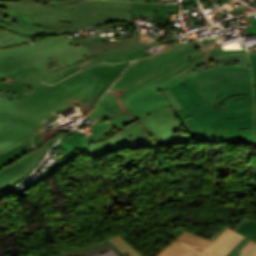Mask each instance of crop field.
Returning <instances> with one entry per match:
<instances>
[{
	"label": "crop field",
	"instance_id": "obj_1",
	"mask_svg": "<svg viewBox=\"0 0 256 256\" xmlns=\"http://www.w3.org/2000/svg\"><path fill=\"white\" fill-rule=\"evenodd\" d=\"M86 49L61 36L1 49L0 98L54 114L78 103L85 115L129 63L96 64L101 60L94 56L53 72L93 55ZM76 71L54 86L40 82L54 84Z\"/></svg>",
	"mask_w": 256,
	"mask_h": 256
},
{
	"label": "crop field",
	"instance_id": "obj_2",
	"mask_svg": "<svg viewBox=\"0 0 256 256\" xmlns=\"http://www.w3.org/2000/svg\"><path fill=\"white\" fill-rule=\"evenodd\" d=\"M204 56L193 41L185 46L180 42L169 50L138 60L126 71L109 91L123 111L98 120L107 128L89 138L97 142L84 151L90 159L128 146L130 149L152 148L173 142L190 141L188 136L174 135L185 129L169 107L140 120L119 101L152 83L162 81L191 64L189 61Z\"/></svg>",
	"mask_w": 256,
	"mask_h": 256
},
{
	"label": "crop field",
	"instance_id": "obj_3",
	"mask_svg": "<svg viewBox=\"0 0 256 256\" xmlns=\"http://www.w3.org/2000/svg\"><path fill=\"white\" fill-rule=\"evenodd\" d=\"M51 6L47 8L35 0H0V8L8 7L34 17V25L64 33L114 21H129L132 16L154 17L155 11L179 12L177 5L105 0L53 3Z\"/></svg>",
	"mask_w": 256,
	"mask_h": 256
},
{
	"label": "crop field",
	"instance_id": "obj_4",
	"mask_svg": "<svg viewBox=\"0 0 256 256\" xmlns=\"http://www.w3.org/2000/svg\"><path fill=\"white\" fill-rule=\"evenodd\" d=\"M41 125L4 115L0 119V191L24 179L62 133L48 142Z\"/></svg>",
	"mask_w": 256,
	"mask_h": 256
},
{
	"label": "crop field",
	"instance_id": "obj_5",
	"mask_svg": "<svg viewBox=\"0 0 256 256\" xmlns=\"http://www.w3.org/2000/svg\"><path fill=\"white\" fill-rule=\"evenodd\" d=\"M185 81L202 105L230 91L252 92L250 70L236 67L212 69Z\"/></svg>",
	"mask_w": 256,
	"mask_h": 256
},
{
	"label": "crop field",
	"instance_id": "obj_6",
	"mask_svg": "<svg viewBox=\"0 0 256 256\" xmlns=\"http://www.w3.org/2000/svg\"><path fill=\"white\" fill-rule=\"evenodd\" d=\"M195 43L206 56L190 61L191 65L175 74L183 80L211 68L223 66L250 69L246 50L222 51V48L218 46L220 44L216 41L203 46L200 45L199 41Z\"/></svg>",
	"mask_w": 256,
	"mask_h": 256
},
{
	"label": "crop field",
	"instance_id": "obj_7",
	"mask_svg": "<svg viewBox=\"0 0 256 256\" xmlns=\"http://www.w3.org/2000/svg\"><path fill=\"white\" fill-rule=\"evenodd\" d=\"M181 81L183 80L174 75L165 81L155 83L154 86L143 89L120 102L126 105L134 113L136 118L140 119L145 115H149L170 105L167 99L159 93V91L165 90Z\"/></svg>",
	"mask_w": 256,
	"mask_h": 256
},
{
	"label": "crop field",
	"instance_id": "obj_8",
	"mask_svg": "<svg viewBox=\"0 0 256 256\" xmlns=\"http://www.w3.org/2000/svg\"><path fill=\"white\" fill-rule=\"evenodd\" d=\"M118 40L87 46L99 58L107 62H121L129 60L126 54L144 50L166 43L168 38L157 40L148 44L138 42L139 33L117 37Z\"/></svg>",
	"mask_w": 256,
	"mask_h": 256
},
{
	"label": "crop field",
	"instance_id": "obj_9",
	"mask_svg": "<svg viewBox=\"0 0 256 256\" xmlns=\"http://www.w3.org/2000/svg\"><path fill=\"white\" fill-rule=\"evenodd\" d=\"M187 131L211 129H253V117L220 120L217 113L180 120Z\"/></svg>",
	"mask_w": 256,
	"mask_h": 256
},
{
	"label": "crop field",
	"instance_id": "obj_10",
	"mask_svg": "<svg viewBox=\"0 0 256 256\" xmlns=\"http://www.w3.org/2000/svg\"><path fill=\"white\" fill-rule=\"evenodd\" d=\"M192 143L254 144L253 130L188 132Z\"/></svg>",
	"mask_w": 256,
	"mask_h": 256
},
{
	"label": "crop field",
	"instance_id": "obj_11",
	"mask_svg": "<svg viewBox=\"0 0 256 256\" xmlns=\"http://www.w3.org/2000/svg\"><path fill=\"white\" fill-rule=\"evenodd\" d=\"M33 21L34 18L16 13L8 8L0 15V26L19 34L27 36L63 34L60 32L33 26Z\"/></svg>",
	"mask_w": 256,
	"mask_h": 256
},
{
	"label": "crop field",
	"instance_id": "obj_12",
	"mask_svg": "<svg viewBox=\"0 0 256 256\" xmlns=\"http://www.w3.org/2000/svg\"><path fill=\"white\" fill-rule=\"evenodd\" d=\"M4 114L22 120L36 122L49 129L44 123L54 114L37 110L28 106L0 99V117Z\"/></svg>",
	"mask_w": 256,
	"mask_h": 256
},
{
	"label": "crop field",
	"instance_id": "obj_13",
	"mask_svg": "<svg viewBox=\"0 0 256 256\" xmlns=\"http://www.w3.org/2000/svg\"><path fill=\"white\" fill-rule=\"evenodd\" d=\"M220 119L253 116V96H238L227 99L214 108Z\"/></svg>",
	"mask_w": 256,
	"mask_h": 256
},
{
	"label": "crop field",
	"instance_id": "obj_14",
	"mask_svg": "<svg viewBox=\"0 0 256 256\" xmlns=\"http://www.w3.org/2000/svg\"><path fill=\"white\" fill-rule=\"evenodd\" d=\"M58 146L66 151L56 158L58 165H62L84 150L86 146V136L75 130L72 134L57 143L52 150Z\"/></svg>",
	"mask_w": 256,
	"mask_h": 256
},
{
	"label": "crop field",
	"instance_id": "obj_15",
	"mask_svg": "<svg viewBox=\"0 0 256 256\" xmlns=\"http://www.w3.org/2000/svg\"><path fill=\"white\" fill-rule=\"evenodd\" d=\"M112 249L118 256H125L115 245L109 240L87 246L82 249H76L75 247L58 255V256H90L99 252Z\"/></svg>",
	"mask_w": 256,
	"mask_h": 256
},
{
	"label": "crop field",
	"instance_id": "obj_16",
	"mask_svg": "<svg viewBox=\"0 0 256 256\" xmlns=\"http://www.w3.org/2000/svg\"><path fill=\"white\" fill-rule=\"evenodd\" d=\"M170 90L174 94L178 102L180 103L183 110L201 106L200 102L193 95L189 87L186 85L185 81L170 88Z\"/></svg>",
	"mask_w": 256,
	"mask_h": 256
},
{
	"label": "crop field",
	"instance_id": "obj_17",
	"mask_svg": "<svg viewBox=\"0 0 256 256\" xmlns=\"http://www.w3.org/2000/svg\"><path fill=\"white\" fill-rule=\"evenodd\" d=\"M237 95H252V93H249V92L227 93V94H224L222 97L216 99L215 101H213L205 106H202L200 108L191 109L188 111L175 113V115L177 116L178 119H182V118L195 117V116L215 112V110L213 109L214 107H216L217 105H219L220 103L225 101L227 98L232 97V96H237Z\"/></svg>",
	"mask_w": 256,
	"mask_h": 256
},
{
	"label": "crop field",
	"instance_id": "obj_18",
	"mask_svg": "<svg viewBox=\"0 0 256 256\" xmlns=\"http://www.w3.org/2000/svg\"><path fill=\"white\" fill-rule=\"evenodd\" d=\"M176 240L192 247L193 249L201 252L203 249H205L212 241L207 240L205 238L199 237L197 235H194L188 231L183 233L179 238Z\"/></svg>",
	"mask_w": 256,
	"mask_h": 256
},
{
	"label": "crop field",
	"instance_id": "obj_19",
	"mask_svg": "<svg viewBox=\"0 0 256 256\" xmlns=\"http://www.w3.org/2000/svg\"><path fill=\"white\" fill-rule=\"evenodd\" d=\"M242 239V236L233 232L208 256H226Z\"/></svg>",
	"mask_w": 256,
	"mask_h": 256
},
{
	"label": "crop field",
	"instance_id": "obj_20",
	"mask_svg": "<svg viewBox=\"0 0 256 256\" xmlns=\"http://www.w3.org/2000/svg\"><path fill=\"white\" fill-rule=\"evenodd\" d=\"M27 42H32L29 37L16 35L0 29V48L10 47Z\"/></svg>",
	"mask_w": 256,
	"mask_h": 256
},
{
	"label": "crop field",
	"instance_id": "obj_21",
	"mask_svg": "<svg viewBox=\"0 0 256 256\" xmlns=\"http://www.w3.org/2000/svg\"><path fill=\"white\" fill-rule=\"evenodd\" d=\"M238 233L256 241V221L253 219L244 218L235 228Z\"/></svg>",
	"mask_w": 256,
	"mask_h": 256
},
{
	"label": "crop field",
	"instance_id": "obj_22",
	"mask_svg": "<svg viewBox=\"0 0 256 256\" xmlns=\"http://www.w3.org/2000/svg\"><path fill=\"white\" fill-rule=\"evenodd\" d=\"M232 232L233 231L224 226L221 230H219L217 233H215L212 237L209 238L213 242L204 251H202V253L206 255L211 253Z\"/></svg>",
	"mask_w": 256,
	"mask_h": 256
},
{
	"label": "crop field",
	"instance_id": "obj_23",
	"mask_svg": "<svg viewBox=\"0 0 256 256\" xmlns=\"http://www.w3.org/2000/svg\"><path fill=\"white\" fill-rule=\"evenodd\" d=\"M194 250L181 245L180 243L176 245L174 248L170 249L166 247L162 252H160L157 256H188Z\"/></svg>",
	"mask_w": 256,
	"mask_h": 256
},
{
	"label": "crop field",
	"instance_id": "obj_24",
	"mask_svg": "<svg viewBox=\"0 0 256 256\" xmlns=\"http://www.w3.org/2000/svg\"><path fill=\"white\" fill-rule=\"evenodd\" d=\"M125 254L128 256H142L138 253L132 245L122 236L111 239Z\"/></svg>",
	"mask_w": 256,
	"mask_h": 256
},
{
	"label": "crop field",
	"instance_id": "obj_25",
	"mask_svg": "<svg viewBox=\"0 0 256 256\" xmlns=\"http://www.w3.org/2000/svg\"><path fill=\"white\" fill-rule=\"evenodd\" d=\"M249 57L251 61L254 99H255V105H256V52H249ZM255 135H256V109H255Z\"/></svg>",
	"mask_w": 256,
	"mask_h": 256
},
{
	"label": "crop field",
	"instance_id": "obj_26",
	"mask_svg": "<svg viewBox=\"0 0 256 256\" xmlns=\"http://www.w3.org/2000/svg\"><path fill=\"white\" fill-rule=\"evenodd\" d=\"M241 252L239 256H256V243L250 241Z\"/></svg>",
	"mask_w": 256,
	"mask_h": 256
},
{
	"label": "crop field",
	"instance_id": "obj_27",
	"mask_svg": "<svg viewBox=\"0 0 256 256\" xmlns=\"http://www.w3.org/2000/svg\"><path fill=\"white\" fill-rule=\"evenodd\" d=\"M163 95L168 99L170 104L174 107V109L178 111H183L182 108L180 107L179 103L175 99V97L172 95V93L168 90L162 91Z\"/></svg>",
	"mask_w": 256,
	"mask_h": 256
},
{
	"label": "crop field",
	"instance_id": "obj_28",
	"mask_svg": "<svg viewBox=\"0 0 256 256\" xmlns=\"http://www.w3.org/2000/svg\"><path fill=\"white\" fill-rule=\"evenodd\" d=\"M249 242L247 239H243L227 256H238L241 249Z\"/></svg>",
	"mask_w": 256,
	"mask_h": 256
},
{
	"label": "crop field",
	"instance_id": "obj_29",
	"mask_svg": "<svg viewBox=\"0 0 256 256\" xmlns=\"http://www.w3.org/2000/svg\"><path fill=\"white\" fill-rule=\"evenodd\" d=\"M226 1H230V0H220L221 3H224L226 5H228L226 3ZM228 7H230L231 9L228 10L233 16H239V15H243L240 11L236 10L235 8L231 7L230 5H228Z\"/></svg>",
	"mask_w": 256,
	"mask_h": 256
},
{
	"label": "crop field",
	"instance_id": "obj_30",
	"mask_svg": "<svg viewBox=\"0 0 256 256\" xmlns=\"http://www.w3.org/2000/svg\"><path fill=\"white\" fill-rule=\"evenodd\" d=\"M184 4L192 3L193 6L198 5L196 0H183Z\"/></svg>",
	"mask_w": 256,
	"mask_h": 256
},
{
	"label": "crop field",
	"instance_id": "obj_31",
	"mask_svg": "<svg viewBox=\"0 0 256 256\" xmlns=\"http://www.w3.org/2000/svg\"><path fill=\"white\" fill-rule=\"evenodd\" d=\"M141 2H165L164 0H138Z\"/></svg>",
	"mask_w": 256,
	"mask_h": 256
},
{
	"label": "crop field",
	"instance_id": "obj_32",
	"mask_svg": "<svg viewBox=\"0 0 256 256\" xmlns=\"http://www.w3.org/2000/svg\"><path fill=\"white\" fill-rule=\"evenodd\" d=\"M42 2H53V1H70V0H38Z\"/></svg>",
	"mask_w": 256,
	"mask_h": 256
},
{
	"label": "crop field",
	"instance_id": "obj_33",
	"mask_svg": "<svg viewBox=\"0 0 256 256\" xmlns=\"http://www.w3.org/2000/svg\"><path fill=\"white\" fill-rule=\"evenodd\" d=\"M199 255V253H197V252H193L192 254H190L189 256H198Z\"/></svg>",
	"mask_w": 256,
	"mask_h": 256
},
{
	"label": "crop field",
	"instance_id": "obj_34",
	"mask_svg": "<svg viewBox=\"0 0 256 256\" xmlns=\"http://www.w3.org/2000/svg\"><path fill=\"white\" fill-rule=\"evenodd\" d=\"M236 2H238V0H232V1L228 2V3H229L230 5H232V4L236 3Z\"/></svg>",
	"mask_w": 256,
	"mask_h": 256
},
{
	"label": "crop field",
	"instance_id": "obj_35",
	"mask_svg": "<svg viewBox=\"0 0 256 256\" xmlns=\"http://www.w3.org/2000/svg\"><path fill=\"white\" fill-rule=\"evenodd\" d=\"M177 243H178V242L175 241V242H173L172 244H170V245H168V246L172 248V247L175 246Z\"/></svg>",
	"mask_w": 256,
	"mask_h": 256
},
{
	"label": "crop field",
	"instance_id": "obj_36",
	"mask_svg": "<svg viewBox=\"0 0 256 256\" xmlns=\"http://www.w3.org/2000/svg\"><path fill=\"white\" fill-rule=\"evenodd\" d=\"M4 11V9H0V14Z\"/></svg>",
	"mask_w": 256,
	"mask_h": 256
},
{
	"label": "crop field",
	"instance_id": "obj_37",
	"mask_svg": "<svg viewBox=\"0 0 256 256\" xmlns=\"http://www.w3.org/2000/svg\"><path fill=\"white\" fill-rule=\"evenodd\" d=\"M250 50H254V51H256V47H255L254 49H250Z\"/></svg>",
	"mask_w": 256,
	"mask_h": 256
},
{
	"label": "crop field",
	"instance_id": "obj_38",
	"mask_svg": "<svg viewBox=\"0 0 256 256\" xmlns=\"http://www.w3.org/2000/svg\"><path fill=\"white\" fill-rule=\"evenodd\" d=\"M199 256H203V255L200 254Z\"/></svg>",
	"mask_w": 256,
	"mask_h": 256
}]
</instances>
